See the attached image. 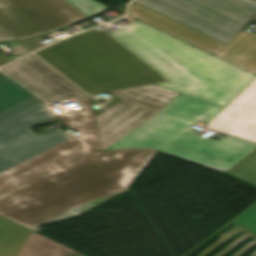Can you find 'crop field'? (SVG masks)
<instances>
[{
    "label": "crop field",
    "mask_w": 256,
    "mask_h": 256,
    "mask_svg": "<svg viewBox=\"0 0 256 256\" xmlns=\"http://www.w3.org/2000/svg\"><path fill=\"white\" fill-rule=\"evenodd\" d=\"M58 116L79 137L28 127L55 121L45 102L0 72V216L28 229L79 214L74 205L126 189L154 149L102 153L90 97Z\"/></svg>",
    "instance_id": "1"
},
{
    "label": "crop field",
    "mask_w": 256,
    "mask_h": 256,
    "mask_svg": "<svg viewBox=\"0 0 256 256\" xmlns=\"http://www.w3.org/2000/svg\"><path fill=\"white\" fill-rule=\"evenodd\" d=\"M109 35L169 80L154 85L220 107L256 77L138 21Z\"/></svg>",
    "instance_id": "2"
},
{
    "label": "crop field",
    "mask_w": 256,
    "mask_h": 256,
    "mask_svg": "<svg viewBox=\"0 0 256 256\" xmlns=\"http://www.w3.org/2000/svg\"><path fill=\"white\" fill-rule=\"evenodd\" d=\"M222 108L179 94L163 110L105 151L120 148H154L219 172H226L256 145L223 137L221 140L196 136L191 126L208 123Z\"/></svg>",
    "instance_id": "3"
},
{
    "label": "crop field",
    "mask_w": 256,
    "mask_h": 256,
    "mask_svg": "<svg viewBox=\"0 0 256 256\" xmlns=\"http://www.w3.org/2000/svg\"><path fill=\"white\" fill-rule=\"evenodd\" d=\"M35 54L90 95L167 80L105 31L96 28Z\"/></svg>",
    "instance_id": "4"
},
{
    "label": "crop field",
    "mask_w": 256,
    "mask_h": 256,
    "mask_svg": "<svg viewBox=\"0 0 256 256\" xmlns=\"http://www.w3.org/2000/svg\"><path fill=\"white\" fill-rule=\"evenodd\" d=\"M135 3L227 44L255 15L240 0H136Z\"/></svg>",
    "instance_id": "5"
},
{
    "label": "crop field",
    "mask_w": 256,
    "mask_h": 256,
    "mask_svg": "<svg viewBox=\"0 0 256 256\" xmlns=\"http://www.w3.org/2000/svg\"><path fill=\"white\" fill-rule=\"evenodd\" d=\"M110 93L122 100L95 117L102 151L160 111L178 95L153 85Z\"/></svg>",
    "instance_id": "6"
},
{
    "label": "crop field",
    "mask_w": 256,
    "mask_h": 256,
    "mask_svg": "<svg viewBox=\"0 0 256 256\" xmlns=\"http://www.w3.org/2000/svg\"><path fill=\"white\" fill-rule=\"evenodd\" d=\"M87 19L65 0H0V28L15 39Z\"/></svg>",
    "instance_id": "7"
},
{
    "label": "crop field",
    "mask_w": 256,
    "mask_h": 256,
    "mask_svg": "<svg viewBox=\"0 0 256 256\" xmlns=\"http://www.w3.org/2000/svg\"><path fill=\"white\" fill-rule=\"evenodd\" d=\"M147 9L132 2L127 16L256 74V34L240 31L224 45Z\"/></svg>",
    "instance_id": "8"
},
{
    "label": "crop field",
    "mask_w": 256,
    "mask_h": 256,
    "mask_svg": "<svg viewBox=\"0 0 256 256\" xmlns=\"http://www.w3.org/2000/svg\"><path fill=\"white\" fill-rule=\"evenodd\" d=\"M1 70L49 102L87 96L32 54Z\"/></svg>",
    "instance_id": "9"
},
{
    "label": "crop field",
    "mask_w": 256,
    "mask_h": 256,
    "mask_svg": "<svg viewBox=\"0 0 256 256\" xmlns=\"http://www.w3.org/2000/svg\"><path fill=\"white\" fill-rule=\"evenodd\" d=\"M205 128L256 142V78Z\"/></svg>",
    "instance_id": "10"
},
{
    "label": "crop field",
    "mask_w": 256,
    "mask_h": 256,
    "mask_svg": "<svg viewBox=\"0 0 256 256\" xmlns=\"http://www.w3.org/2000/svg\"><path fill=\"white\" fill-rule=\"evenodd\" d=\"M18 256H85L31 231Z\"/></svg>",
    "instance_id": "11"
},
{
    "label": "crop field",
    "mask_w": 256,
    "mask_h": 256,
    "mask_svg": "<svg viewBox=\"0 0 256 256\" xmlns=\"http://www.w3.org/2000/svg\"><path fill=\"white\" fill-rule=\"evenodd\" d=\"M29 233L30 230L0 217V256H17Z\"/></svg>",
    "instance_id": "12"
},
{
    "label": "crop field",
    "mask_w": 256,
    "mask_h": 256,
    "mask_svg": "<svg viewBox=\"0 0 256 256\" xmlns=\"http://www.w3.org/2000/svg\"><path fill=\"white\" fill-rule=\"evenodd\" d=\"M226 175L256 187V152L231 169Z\"/></svg>",
    "instance_id": "13"
},
{
    "label": "crop field",
    "mask_w": 256,
    "mask_h": 256,
    "mask_svg": "<svg viewBox=\"0 0 256 256\" xmlns=\"http://www.w3.org/2000/svg\"><path fill=\"white\" fill-rule=\"evenodd\" d=\"M88 18L96 13L109 9L93 0H66Z\"/></svg>",
    "instance_id": "14"
},
{
    "label": "crop field",
    "mask_w": 256,
    "mask_h": 256,
    "mask_svg": "<svg viewBox=\"0 0 256 256\" xmlns=\"http://www.w3.org/2000/svg\"><path fill=\"white\" fill-rule=\"evenodd\" d=\"M235 223L245 228L252 234H256V203L233 219Z\"/></svg>",
    "instance_id": "15"
},
{
    "label": "crop field",
    "mask_w": 256,
    "mask_h": 256,
    "mask_svg": "<svg viewBox=\"0 0 256 256\" xmlns=\"http://www.w3.org/2000/svg\"><path fill=\"white\" fill-rule=\"evenodd\" d=\"M115 194H117V193H115ZM115 194H112V195H109V196H106V197H103V198H99V199H96V200H93V201H89V202H86V203H83V204L76 205V208L81 213V212H83V211H85V210L95 206L96 204H98V203H100V202H102V201L112 197Z\"/></svg>",
    "instance_id": "16"
},
{
    "label": "crop field",
    "mask_w": 256,
    "mask_h": 256,
    "mask_svg": "<svg viewBox=\"0 0 256 256\" xmlns=\"http://www.w3.org/2000/svg\"><path fill=\"white\" fill-rule=\"evenodd\" d=\"M19 42H21L24 46H26L31 51L44 46L37 42V38H32L26 41H19Z\"/></svg>",
    "instance_id": "17"
},
{
    "label": "crop field",
    "mask_w": 256,
    "mask_h": 256,
    "mask_svg": "<svg viewBox=\"0 0 256 256\" xmlns=\"http://www.w3.org/2000/svg\"><path fill=\"white\" fill-rule=\"evenodd\" d=\"M8 39H14V38H12L6 32H4L2 29H0V40H8Z\"/></svg>",
    "instance_id": "18"
},
{
    "label": "crop field",
    "mask_w": 256,
    "mask_h": 256,
    "mask_svg": "<svg viewBox=\"0 0 256 256\" xmlns=\"http://www.w3.org/2000/svg\"><path fill=\"white\" fill-rule=\"evenodd\" d=\"M249 1H252V2H255V3H256V0H249Z\"/></svg>",
    "instance_id": "19"
}]
</instances>
